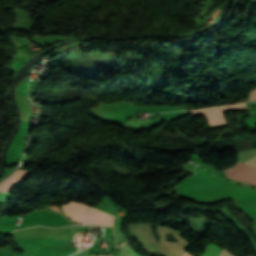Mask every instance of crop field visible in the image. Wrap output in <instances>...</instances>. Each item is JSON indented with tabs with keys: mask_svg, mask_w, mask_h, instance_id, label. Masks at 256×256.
<instances>
[{
	"mask_svg": "<svg viewBox=\"0 0 256 256\" xmlns=\"http://www.w3.org/2000/svg\"><path fill=\"white\" fill-rule=\"evenodd\" d=\"M246 164L256 166V157L246 162Z\"/></svg>",
	"mask_w": 256,
	"mask_h": 256,
	"instance_id": "crop-field-8",
	"label": "crop field"
},
{
	"mask_svg": "<svg viewBox=\"0 0 256 256\" xmlns=\"http://www.w3.org/2000/svg\"><path fill=\"white\" fill-rule=\"evenodd\" d=\"M233 107H246V105L245 103L226 105V106H220V107L209 108V109L192 110V112L193 114L204 113L205 116L208 118L210 125H214V124L226 123L220 111L233 108Z\"/></svg>",
	"mask_w": 256,
	"mask_h": 256,
	"instance_id": "crop-field-2",
	"label": "crop field"
},
{
	"mask_svg": "<svg viewBox=\"0 0 256 256\" xmlns=\"http://www.w3.org/2000/svg\"><path fill=\"white\" fill-rule=\"evenodd\" d=\"M251 99H256V89L250 92L248 100H251Z\"/></svg>",
	"mask_w": 256,
	"mask_h": 256,
	"instance_id": "crop-field-7",
	"label": "crop field"
},
{
	"mask_svg": "<svg viewBox=\"0 0 256 256\" xmlns=\"http://www.w3.org/2000/svg\"><path fill=\"white\" fill-rule=\"evenodd\" d=\"M31 172L29 171H21L17 170L13 173L9 178H7L4 182L0 184V191L5 193L17 183H19L22 179H24L28 174Z\"/></svg>",
	"mask_w": 256,
	"mask_h": 256,
	"instance_id": "crop-field-4",
	"label": "crop field"
},
{
	"mask_svg": "<svg viewBox=\"0 0 256 256\" xmlns=\"http://www.w3.org/2000/svg\"><path fill=\"white\" fill-rule=\"evenodd\" d=\"M225 176L251 183V184H256V168L237 162L230 168L225 169Z\"/></svg>",
	"mask_w": 256,
	"mask_h": 256,
	"instance_id": "crop-field-1",
	"label": "crop field"
},
{
	"mask_svg": "<svg viewBox=\"0 0 256 256\" xmlns=\"http://www.w3.org/2000/svg\"><path fill=\"white\" fill-rule=\"evenodd\" d=\"M181 256H192V255L189 254V253H187V252H185V253H183Z\"/></svg>",
	"mask_w": 256,
	"mask_h": 256,
	"instance_id": "crop-field-9",
	"label": "crop field"
},
{
	"mask_svg": "<svg viewBox=\"0 0 256 256\" xmlns=\"http://www.w3.org/2000/svg\"><path fill=\"white\" fill-rule=\"evenodd\" d=\"M88 213L93 224L113 226L114 216L101 212L93 207H89Z\"/></svg>",
	"mask_w": 256,
	"mask_h": 256,
	"instance_id": "crop-field-3",
	"label": "crop field"
},
{
	"mask_svg": "<svg viewBox=\"0 0 256 256\" xmlns=\"http://www.w3.org/2000/svg\"><path fill=\"white\" fill-rule=\"evenodd\" d=\"M220 250L221 248L210 243L204 253V256H217Z\"/></svg>",
	"mask_w": 256,
	"mask_h": 256,
	"instance_id": "crop-field-5",
	"label": "crop field"
},
{
	"mask_svg": "<svg viewBox=\"0 0 256 256\" xmlns=\"http://www.w3.org/2000/svg\"><path fill=\"white\" fill-rule=\"evenodd\" d=\"M219 256H234V255L230 253L225 247H223Z\"/></svg>",
	"mask_w": 256,
	"mask_h": 256,
	"instance_id": "crop-field-6",
	"label": "crop field"
}]
</instances>
